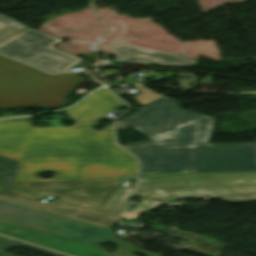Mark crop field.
<instances>
[{
	"instance_id": "20",
	"label": "crop field",
	"mask_w": 256,
	"mask_h": 256,
	"mask_svg": "<svg viewBox=\"0 0 256 256\" xmlns=\"http://www.w3.org/2000/svg\"><path fill=\"white\" fill-rule=\"evenodd\" d=\"M140 212H149V210L124 213L122 217H124V218H134V217H137V213H140Z\"/></svg>"
},
{
	"instance_id": "14",
	"label": "crop field",
	"mask_w": 256,
	"mask_h": 256,
	"mask_svg": "<svg viewBox=\"0 0 256 256\" xmlns=\"http://www.w3.org/2000/svg\"><path fill=\"white\" fill-rule=\"evenodd\" d=\"M10 245L22 246V247L29 248V249H32V250H35V251H38V252H41V253H45V254H48V255H51V256H64V255H60V254H57V253H54V252H51V251H48V250H44V249H41V248H38V247H35V246H31V245H28V244H25V243H22V242H18V241L0 236V250L1 251L6 250V248Z\"/></svg>"
},
{
	"instance_id": "8",
	"label": "crop field",
	"mask_w": 256,
	"mask_h": 256,
	"mask_svg": "<svg viewBox=\"0 0 256 256\" xmlns=\"http://www.w3.org/2000/svg\"><path fill=\"white\" fill-rule=\"evenodd\" d=\"M0 233L74 256H119L1 220Z\"/></svg>"
},
{
	"instance_id": "21",
	"label": "crop field",
	"mask_w": 256,
	"mask_h": 256,
	"mask_svg": "<svg viewBox=\"0 0 256 256\" xmlns=\"http://www.w3.org/2000/svg\"><path fill=\"white\" fill-rule=\"evenodd\" d=\"M126 61H130V62H142V63H153V64H159V65H161L159 62H153V61H143V60H133V59H127Z\"/></svg>"
},
{
	"instance_id": "12",
	"label": "crop field",
	"mask_w": 256,
	"mask_h": 256,
	"mask_svg": "<svg viewBox=\"0 0 256 256\" xmlns=\"http://www.w3.org/2000/svg\"><path fill=\"white\" fill-rule=\"evenodd\" d=\"M133 192L134 188L119 187L103 209L123 211Z\"/></svg>"
},
{
	"instance_id": "22",
	"label": "crop field",
	"mask_w": 256,
	"mask_h": 256,
	"mask_svg": "<svg viewBox=\"0 0 256 256\" xmlns=\"http://www.w3.org/2000/svg\"><path fill=\"white\" fill-rule=\"evenodd\" d=\"M37 77H40V76H37ZM37 77H33V78H37ZM33 78H30V79H33ZM30 79H26V80H30ZM26 80H23V81H26ZM20 82H22V81H20ZM16 83H18V82H16ZM12 84H14V83H12ZM8 85H10V84H8ZM5 86H7V85H5ZM1 87H3V86H1Z\"/></svg>"
},
{
	"instance_id": "18",
	"label": "crop field",
	"mask_w": 256,
	"mask_h": 256,
	"mask_svg": "<svg viewBox=\"0 0 256 256\" xmlns=\"http://www.w3.org/2000/svg\"><path fill=\"white\" fill-rule=\"evenodd\" d=\"M19 161L0 156V167L17 170Z\"/></svg>"
},
{
	"instance_id": "13",
	"label": "crop field",
	"mask_w": 256,
	"mask_h": 256,
	"mask_svg": "<svg viewBox=\"0 0 256 256\" xmlns=\"http://www.w3.org/2000/svg\"><path fill=\"white\" fill-rule=\"evenodd\" d=\"M25 28L27 27L0 14V42Z\"/></svg>"
},
{
	"instance_id": "7",
	"label": "crop field",
	"mask_w": 256,
	"mask_h": 256,
	"mask_svg": "<svg viewBox=\"0 0 256 256\" xmlns=\"http://www.w3.org/2000/svg\"><path fill=\"white\" fill-rule=\"evenodd\" d=\"M120 177L82 180V181H45V182H14V186L28 189V188H71L83 186L96 182L110 181L119 179ZM120 181L84 186L68 190H31L33 192L45 194L47 196L71 201L82 205H90L102 208L110 197L114 194L120 186Z\"/></svg>"
},
{
	"instance_id": "10",
	"label": "crop field",
	"mask_w": 256,
	"mask_h": 256,
	"mask_svg": "<svg viewBox=\"0 0 256 256\" xmlns=\"http://www.w3.org/2000/svg\"><path fill=\"white\" fill-rule=\"evenodd\" d=\"M112 51L116 55V57L113 60H118V61H123L127 58H133V59L159 61L163 65H171V66H190L197 63L196 60H192V59L180 56L176 53L143 50V49L129 46L124 43L112 48Z\"/></svg>"
},
{
	"instance_id": "9",
	"label": "crop field",
	"mask_w": 256,
	"mask_h": 256,
	"mask_svg": "<svg viewBox=\"0 0 256 256\" xmlns=\"http://www.w3.org/2000/svg\"><path fill=\"white\" fill-rule=\"evenodd\" d=\"M0 197L31 205L34 207L42 208L72 218H74L79 212H81L84 209V207L62 200H59L57 203L53 205L37 202L35 201L36 199L40 197H45V195L28 192L1 184Z\"/></svg>"
},
{
	"instance_id": "2",
	"label": "crop field",
	"mask_w": 256,
	"mask_h": 256,
	"mask_svg": "<svg viewBox=\"0 0 256 256\" xmlns=\"http://www.w3.org/2000/svg\"><path fill=\"white\" fill-rule=\"evenodd\" d=\"M176 103L164 96L115 125L132 126L151 139L123 146L141 161L139 174L256 171V143L209 144L215 118L184 111Z\"/></svg>"
},
{
	"instance_id": "19",
	"label": "crop field",
	"mask_w": 256,
	"mask_h": 256,
	"mask_svg": "<svg viewBox=\"0 0 256 256\" xmlns=\"http://www.w3.org/2000/svg\"><path fill=\"white\" fill-rule=\"evenodd\" d=\"M190 171H191V170L176 171V172H165V173H154V174H144V175H139V177L154 176V175H164V174H175V173H185V172H190Z\"/></svg>"
},
{
	"instance_id": "6",
	"label": "crop field",
	"mask_w": 256,
	"mask_h": 256,
	"mask_svg": "<svg viewBox=\"0 0 256 256\" xmlns=\"http://www.w3.org/2000/svg\"><path fill=\"white\" fill-rule=\"evenodd\" d=\"M55 37L26 29L0 43V52L48 72L69 71L80 59L53 47Z\"/></svg>"
},
{
	"instance_id": "3",
	"label": "crop field",
	"mask_w": 256,
	"mask_h": 256,
	"mask_svg": "<svg viewBox=\"0 0 256 256\" xmlns=\"http://www.w3.org/2000/svg\"><path fill=\"white\" fill-rule=\"evenodd\" d=\"M135 195L158 200L211 196L230 203L256 201V172L144 177L139 178Z\"/></svg>"
},
{
	"instance_id": "11",
	"label": "crop field",
	"mask_w": 256,
	"mask_h": 256,
	"mask_svg": "<svg viewBox=\"0 0 256 256\" xmlns=\"http://www.w3.org/2000/svg\"><path fill=\"white\" fill-rule=\"evenodd\" d=\"M118 216L119 215L115 213L99 210L92 207H86L75 218L109 227L112 225L115 219H118Z\"/></svg>"
},
{
	"instance_id": "16",
	"label": "crop field",
	"mask_w": 256,
	"mask_h": 256,
	"mask_svg": "<svg viewBox=\"0 0 256 256\" xmlns=\"http://www.w3.org/2000/svg\"><path fill=\"white\" fill-rule=\"evenodd\" d=\"M16 172L0 168V183L12 185Z\"/></svg>"
},
{
	"instance_id": "4",
	"label": "crop field",
	"mask_w": 256,
	"mask_h": 256,
	"mask_svg": "<svg viewBox=\"0 0 256 256\" xmlns=\"http://www.w3.org/2000/svg\"><path fill=\"white\" fill-rule=\"evenodd\" d=\"M0 219L101 250L104 248L98 245L110 242L125 248L124 250L119 249L115 253L122 256H134L132 255L134 253L145 256H160L143 249L134 248L131 244L113 238L115 234L110 233L109 230L2 199H0Z\"/></svg>"
},
{
	"instance_id": "17",
	"label": "crop field",
	"mask_w": 256,
	"mask_h": 256,
	"mask_svg": "<svg viewBox=\"0 0 256 256\" xmlns=\"http://www.w3.org/2000/svg\"><path fill=\"white\" fill-rule=\"evenodd\" d=\"M162 204H164V203L163 202L140 199V201H139L137 207L134 209V211L145 210V209H157Z\"/></svg>"
},
{
	"instance_id": "1",
	"label": "crop field",
	"mask_w": 256,
	"mask_h": 256,
	"mask_svg": "<svg viewBox=\"0 0 256 256\" xmlns=\"http://www.w3.org/2000/svg\"><path fill=\"white\" fill-rule=\"evenodd\" d=\"M124 107L103 88L66 109L77 123L70 127L31 128L32 117L0 120V155L20 161L15 181L134 175L137 161L115 145L111 126L100 132L91 127ZM42 172H54L55 178L40 179Z\"/></svg>"
},
{
	"instance_id": "15",
	"label": "crop field",
	"mask_w": 256,
	"mask_h": 256,
	"mask_svg": "<svg viewBox=\"0 0 256 256\" xmlns=\"http://www.w3.org/2000/svg\"><path fill=\"white\" fill-rule=\"evenodd\" d=\"M136 89L139 90L141 93L136 94L135 99L142 105H145V104L163 96V95H159V94L147 89L143 85L136 86Z\"/></svg>"
},
{
	"instance_id": "5",
	"label": "crop field",
	"mask_w": 256,
	"mask_h": 256,
	"mask_svg": "<svg viewBox=\"0 0 256 256\" xmlns=\"http://www.w3.org/2000/svg\"><path fill=\"white\" fill-rule=\"evenodd\" d=\"M44 74L0 55V85ZM82 80L84 79L73 73H68L49 75L0 88V108L62 104L64 103V94Z\"/></svg>"
}]
</instances>
